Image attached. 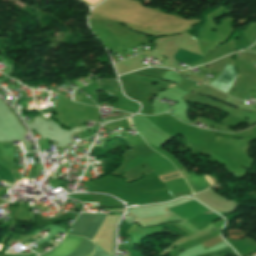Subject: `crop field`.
Instances as JSON below:
<instances>
[{"label":"crop field","instance_id":"obj_1","mask_svg":"<svg viewBox=\"0 0 256 256\" xmlns=\"http://www.w3.org/2000/svg\"><path fill=\"white\" fill-rule=\"evenodd\" d=\"M79 240V237L66 236L62 243H60L52 251L42 256H65L77 246ZM93 250L94 245L90 241L82 238L78 246L67 256H87L93 253Z\"/></svg>","mask_w":256,"mask_h":256},{"label":"crop field","instance_id":"obj_2","mask_svg":"<svg viewBox=\"0 0 256 256\" xmlns=\"http://www.w3.org/2000/svg\"><path fill=\"white\" fill-rule=\"evenodd\" d=\"M94 216L95 214H83L81 218L73 226L70 234L84 236ZM104 217L105 215L103 214H96L94 220L92 221L84 237L92 240L96 232L98 231Z\"/></svg>","mask_w":256,"mask_h":256},{"label":"crop field","instance_id":"obj_3","mask_svg":"<svg viewBox=\"0 0 256 256\" xmlns=\"http://www.w3.org/2000/svg\"><path fill=\"white\" fill-rule=\"evenodd\" d=\"M198 202V201H197ZM195 200L169 208L173 213L184 220H189L203 212L210 211L208 208L197 203Z\"/></svg>","mask_w":256,"mask_h":256},{"label":"crop field","instance_id":"obj_4","mask_svg":"<svg viewBox=\"0 0 256 256\" xmlns=\"http://www.w3.org/2000/svg\"><path fill=\"white\" fill-rule=\"evenodd\" d=\"M237 73L234 69V67L226 64L223 71L220 73V75L209 84L227 92L229 87L232 85Z\"/></svg>","mask_w":256,"mask_h":256},{"label":"crop field","instance_id":"obj_5","mask_svg":"<svg viewBox=\"0 0 256 256\" xmlns=\"http://www.w3.org/2000/svg\"><path fill=\"white\" fill-rule=\"evenodd\" d=\"M180 173L185 177V179L187 180L191 190L193 193H197L205 188H207L208 186L212 185V182L209 180V178L207 177V175H204L205 179L203 176H196L194 172L188 173L186 171V169L184 170H180ZM214 184V183H213Z\"/></svg>","mask_w":256,"mask_h":256},{"label":"crop field","instance_id":"obj_6","mask_svg":"<svg viewBox=\"0 0 256 256\" xmlns=\"http://www.w3.org/2000/svg\"><path fill=\"white\" fill-rule=\"evenodd\" d=\"M93 89H109L119 90V83L115 80H99L97 83H92Z\"/></svg>","mask_w":256,"mask_h":256},{"label":"crop field","instance_id":"obj_7","mask_svg":"<svg viewBox=\"0 0 256 256\" xmlns=\"http://www.w3.org/2000/svg\"><path fill=\"white\" fill-rule=\"evenodd\" d=\"M120 78H126V79H140V80H146V81H151V82H157V83L165 84V85H168V86L171 85V83H167V82H164V81H161V80H157V79H155V78L144 77V76L124 75V76H121ZM173 86H174V84H173L171 87H173Z\"/></svg>","mask_w":256,"mask_h":256},{"label":"crop field","instance_id":"obj_8","mask_svg":"<svg viewBox=\"0 0 256 256\" xmlns=\"http://www.w3.org/2000/svg\"><path fill=\"white\" fill-rule=\"evenodd\" d=\"M95 247L96 249L93 256H109L104 251H102L98 246H95Z\"/></svg>","mask_w":256,"mask_h":256}]
</instances>
